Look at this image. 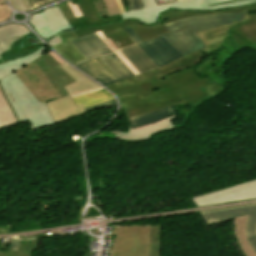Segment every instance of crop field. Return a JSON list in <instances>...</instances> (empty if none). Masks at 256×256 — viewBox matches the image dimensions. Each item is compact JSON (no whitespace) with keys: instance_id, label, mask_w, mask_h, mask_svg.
<instances>
[{"instance_id":"crop-field-13","label":"crop field","mask_w":256,"mask_h":256,"mask_svg":"<svg viewBox=\"0 0 256 256\" xmlns=\"http://www.w3.org/2000/svg\"><path fill=\"white\" fill-rule=\"evenodd\" d=\"M79 6L84 16L68 20L67 22L69 24L70 29L100 25L109 22L123 20L121 14L113 17L99 18L91 0H82L81 3H79Z\"/></svg>"},{"instance_id":"crop-field-41","label":"crop field","mask_w":256,"mask_h":256,"mask_svg":"<svg viewBox=\"0 0 256 256\" xmlns=\"http://www.w3.org/2000/svg\"><path fill=\"white\" fill-rule=\"evenodd\" d=\"M125 32L131 37V39L137 43V42H141V40L138 38V36L132 31V29L130 27L128 28H124Z\"/></svg>"},{"instance_id":"crop-field-49","label":"crop field","mask_w":256,"mask_h":256,"mask_svg":"<svg viewBox=\"0 0 256 256\" xmlns=\"http://www.w3.org/2000/svg\"><path fill=\"white\" fill-rule=\"evenodd\" d=\"M5 2H4V0H0V4H4Z\"/></svg>"},{"instance_id":"crop-field-43","label":"crop field","mask_w":256,"mask_h":256,"mask_svg":"<svg viewBox=\"0 0 256 256\" xmlns=\"http://www.w3.org/2000/svg\"><path fill=\"white\" fill-rule=\"evenodd\" d=\"M19 242V239L11 238L9 250H18Z\"/></svg>"},{"instance_id":"crop-field-16","label":"crop field","mask_w":256,"mask_h":256,"mask_svg":"<svg viewBox=\"0 0 256 256\" xmlns=\"http://www.w3.org/2000/svg\"><path fill=\"white\" fill-rule=\"evenodd\" d=\"M76 66L104 86L112 82L119 81V79L106 66H104L97 57L84 61Z\"/></svg>"},{"instance_id":"crop-field-17","label":"crop field","mask_w":256,"mask_h":256,"mask_svg":"<svg viewBox=\"0 0 256 256\" xmlns=\"http://www.w3.org/2000/svg\"><path fill=\"white\" fill-rule=\"evenodd\" d=\"M61 68L76 81L70 85L65 86L69 94L100 88L99 85L94 83L92 80H90L86 76L77 72L68 64L61 66Z\"/></svg>"},{"instance_id":"crop-field-6","label":"crop field","mask_w":256,"mask_h":256,"mask_svg":"<svg viewBox=\"0 0 256 256\" xmlns=\"http://www.w3.org/2000/svg\"><path fill=\"white\" fill-rule=\"evenodd\" d=\"M142 1L145 9L122 14L124 20L135 19L141 23L150 25L157 22L160 15L169 9L216 11L256 3V0H184L156 6L154 0Z\"/></svg>"},{"instance_id":"crop-field-4","label":"crop field","mask_w":256,"mask_h":256,"mask_svg":"<svg viewBox=\"0 0 256 256\" xmlns=\"http://www.w3.org/2000/svg\"><path fill=\"white\" fill-rule=\"evenodd\" d=\"M245 13H225L182 19L164 25L171 33L163 37L182 55L205 47L195 32L239 22Z\"/></svg>"},{"instance_id":"crop-field-10","label":"crop field","mask_w":256,"mask_h":256,"mask_svg":"<svg viewBox=\"0 0 256 256\" xmlns=\"http://www.w3.org/2000/svg\"><path fill=\"white\" fill-rule=\"evenodd\" d=\"M137 45L157 67L163 66L181 57V55L162 36Z\"/></svg>"},{"instance_id":"crop-field-45","label":"crop field","mask_w":256,"mask_h":256,"mask_svg":"<svg viewBox=\"0 0 256 256\" xmlns=\"http://www.w3.org/2000/svg\"><path fill=\"white\" fill-rule=\"evenodd\" d=\"M53 58H55L61 65L65 64L64 61H62L56 54H54L52 51L48 52Z\"/></svg>"},{"instance_id":"crop-field-11","label":"crop field","mask_w":256,"mask_h":256,"mask_svg":"<svg viewBox=\"0 0 256 256\" xmlns=\"http://www.w3.org/2000/svg\"><path fill=\"white\" fill-rule=\"evenodd\" d=\"M64 27L56 28L50 30L53 34L57 35V37L61 40L62 43L52 47L56 52L60 55L64 56L73 64L81 62L85 60L83 55L75 48V46L69 41L71 39H75L74 35L71 33L67 22L65 21L59 7H55Z\"/></svg>"},{"instance_id":"crop-field-34","label":"crop field","mask_w":256,"mask_h":256,"mask_svg":"<svg viewBox=\"0 0 256 256\" xmlns=\"http://www.w3.org/2000/svg\"><path fill=\"white\" fill-rule=\"evenodd\" d=\"M10 4L17 10L30 11L27 0H9Z\"/></svg>"},{"instance_id":"crop-field-5","label":"crop field","mask_w":256,"mask_h":256,"mask_svg":"<svg viewBox=\"0 0 256 256\" xmlns=\"http://www.w3.org/2000/svg\"><path fill=\"white\" fill-rule=\"evenodd\" d=\"M205 54L200 50L186 55L166 66L156 68L138 76H134L109 85L107 88L112 90L118 97L135 95L168 86L163 75L177 71L189 69L203 59Z\"/></svg>"},{"instance_id":"crop-field-33","label":"crop field","mask_w":256,"mask_h":256,"mask_svg":"<svg viewBox=\"0 0 256 256\" xmlns=\"http://www.w3.org/2000/svg\"><path fill=\"white\" fill-rule=\"evenodd\" d=\"M102 1L109 16H113L120 13L115 0H102Z\"/></svg>"},{"instance_id":"crop-field-14","label":"crop field","mask_w":256,"mask_h":256,"mask_svg":"<svg viewBox=\"0 0 256 256\" xmlns=\"http://www.w3.org/2000/svg\"><path fill=\"white\" fill-rule=\"evenodd\" d=\"M55 123L79 116L86 112L82 105L76 106L70 96L46 104Z\"/></svg>"},{"instance_id":"crop-field-1","label":"crop field","mask_w":256,"mask_h":256,"mask_svg":"<svg viewBox=\"0 0 256 256\" xmlns=\"http://www.w3.org/2000/svg\"><path fill=\"white\" fill-rule=\"evenodd\" d=\"M58 66L60 64L46 53L0 79L19 122L29 121L33 130L54 125L45 103L68 95L63 86L74 82Z\"/></svg>"},{"instance_id":"crop-field-27","label":"crop field","mask_w":256,"mask_h":256,"mask_svg":"<svg viewBox=\"0 0 256 256\" xmlns=\"http://www.w3.org/2000/svg\"><path fill=\"white\" fill-rule=\"evenodd\" d=\"M241 31L237 27L230 30L236 51L244 48H251L256 51V40Z\"/></svg>"},{"instance_id":"crop-field-22","label":"crop field","mask_w":256,"mask_h":256,"mask_svg":"<svg viewBox=\"0 0 256 256\" xmlns=\"http://www.w3.org/2000/svg\"><path fill=\"white\" fill-rule=\"evenodd\" d=\"M48 49H46L44 46L40 48L37 52L27 56L23 57L17 60L10 61L8 63L0 64V78L6 76L7 74L13 72L14 70L30 63L31 61L35 60L36 58L40 57L44 53H46Z\"/></svg>"},{"instance_id":"crop-field-38","label":"crop field","mask_w":256,"mask_h":256,"mask_svg":"<svg viewBox=\"0 0 256 256\" xmlns=\"http://www.w3.org/2000/svg\"><path fill=\"white\" fill-rule=\"evenodd\" d=\"M119 58L126 64V66L135 74L138 75L139 73L137 72V70L132 66V64L127 60V58L121 53L120 50H118L117 52H115Z\"/></svg>"},{"instance_id":"crop-field-23","label":"crop field","mask_w":256,"mask_h":256,"mask_svg":"<svg viewBox=\"0 0 256 256\" xmlns=\"http://www.w3.org/2000/svg\"><path fill=\"white\" fill-rule=\"evenodd\" d=\"M113 99L114 98L105 89L88 95L73 98L76 105L82 104L84 107Z\"/></svg>"},{"instance_id":"crop-field-20","label":"crop field","mask_w":256,"mask_h":256,"mask_svg":"<svg viewBox=\"0 0 256 256\" xmlns=\"http://www.w3.org/2000/svg\"><path fill=\"white\" fill-rule=\"evenodd\" d=\"M180 104H182V103H180ZM180 104L173 105V106L163 108L160 110H156L153 112H149L146 114H142L139 116L131 117V118H129L130 126H131V128L139 127V126L149 124V123L158 121L160 119L166 118L168 116L174 115V114H176L174 106H178Z\"/></svg>"},{"instance_id":"crop-field-18","label":"crop field","mask_w":256,"mask_h":256,"mask_svg":"<svg viewBox=\"0 0 256 256\" xmlns=\"http://www.w3.org/2000/svg\"><path fill=\"white\" fill-rule=\"evenodd\" d=\"M29 22L37 30H43L48 28L53 29L62 26L53 7L46 9L42 13H37L31 16Z\"/></svg>"},{"instance_id":"crop-field-36","label":"crop field","mask_w":256,"mask_h":256,"mask_svg":"<svg viewBox=\"0 0 256 256\" xmlns=\"http://www.w3.org/2000/svg\"><path fill=\"white\" fill-rule=\"evenodd\" d=\"M10 14H11V11L6 6V4L0 5V22L8 20Z\"/></svg>"},{"instance_id":"crop-field-9","label":"crop field","mask_w":256,"mask_h":256,"mask_svg":"<svg viewBox=\"0 0 256 256\" xmlns=\"http://www.w3.org/2000/svg\"><path fill=\"white\" fill-rule=\"evenodd\" d=\"M256 198V180L193 198L197 206Z\"/></svg>"},{"instance_id":"crop-field-30","label":"crop field","mask_w":256,"mask_h":256,"mask_svg":"<svg viewBox=\"0 0 256 256\" xmlns=\"http://www.w3.org/2000/svg\"><path fill=\"white\" fill-rule=\"evenodd\" d=\"M118 25H121L122 28L128 27V25L126 24L125 21H120V22H114V23H109V24L95 26V27L80 28V29L72 30V32L76 36V38H78L83 35L89 34L91 32L98 31L103 28H108V27H113V26H118Z\"/></svg>"},{"instance_id":"crop-field-7","label":"crop field","mask_w":256,"mask_h":256,"mask_svg":"<svg viewBox=\"0 0 256 256\" xmlns=\"http://www.w3.org/2000/svg\"><path fill=\"white\" fill-rule=\"evenodd\" d=\"M111 256H148L149 227H114Z\"/></svg>"},{"instance_id":"crop-field-26","label":"crop field","mask_w":256,"mask_h":256,"mask_svg":"<svg viewBox=\"0 0 256 256\" xmlns=\"http://www.w3.org/2000/svg\"><path fill=\"white\" fill-rule=\"evenodd\" d=\"M29 34V31L25 29L22 25L10 24L0 27V41L12 45L17 39L11 40L10 38Z\"/></svg>"},{"instance_id":"crop-field-44","label":"crop field","mask_w":256,"mask_h":256,"mask_svg":"<svg viewBox=\"0 0 256 256\" xmlns=\"http://www.w3.org/2000/svg\"><path fill=\"white\" fill-rule=\"evenodd\" d=\"M42 37H44L45 39H50L52 36H54L51 32H49L47 29L46 30H43V31H40L38 32ZM47 42V41H45Z\"/></svg>"},{"instance_id":"crop-field-50","label":"crop field","mask_w":256,"mask_h":256,"mask_svg":"<svg viewBox=\"0 0 256 256\" xmlns=\"http://www.w3.org/2000/svg\"><path fill=\"white\" fill-rule=\"evenodd\" d=\"M2 53L1 49H0V54Z\"/></svg>"},{"instance_id":"crop-field-47","label":"crop field","mask_w":256,"mask_h":256,"mask_svg":"<svg viewBox=\"0 0 256 256\" xmlns=\"http://www.w3.org/2000/svg\"><path fill=\"white\" fill-rule=\"evenodd\" d=\"M116 2H117V4H118V6H119L121 12H122V13L126 12V11H125V8H124V6H123L122 0H116Z\"/></svg>"},{"instance_id":"crop-field-37","label":"crop field","mask_w":256,"mask_h":256,"mask_svg":"<svg viewBox=\"0 0 256 256\" xmlns=\"http://www.w3.org/2000/svg\"><path fill=\"white\" fill-rule=\"evenodd\" d=\"M127 3L130 11L144 8L141 0H127Z\"/></svg>"},{"instance_id":"crop-field-32","label":"crop field","mask_w":256,"mask_h":256,"mask_svg":"<svg viewBox=\"0 0 256 256\" xmlns=\"http://www.w3.org/2000/svg\"><path fill=\"white\" fill-rule=\"evenodd\" d=\"M38 239L30 240L29 251H22L23 240L20 242L19 251H0V256H32L31 251H37Z\"/></svg>"},{"instance_id":"crop-field-28","label":"crop field","mask_w":256,"mask_h":256,"mask_svg":"<svg viewBox=\"0 0 256 256\" xmlns=\"http://www.w3.org/2000/svg\"><path fill=\"white\" fill-rule=\"evenodd\" d=\"M248 216V215H247ZM247 216H243L240 218H237L236 220V228H235V237L241 244L246 256H256L254 251L252 250L251 246L249 245L247 238L244 234L245 224L247 220ZM237 241V242H238Z\"/></svg>"},{"instance_id":"crop-field-3","label":"crop field","mask_w":256,"mask_h":256,"mask_svg":"<svg viewBox=\"0 0 256 256\" xmlns=\"http://www.w3.org/2000/svg\"><path fill=\"white\" fill-rule=\"evenodd\" d=\"M225 12H245L246 15L242 22L198 32V36L207 46L206 48L201 49V51L204 52L206 55H209L215 50L224 46L230 51L231 54H235L236 52L234 49V45L232 43L228 30L237 26L240 30L256 39V4L247 7L233 8L229 10L216 12L169 10L161 15L160 19L155 25L150 26L141 24L135 20H126V22L133 29V31L140 37V39L142 41H145L169 33V31L163 26L166 23H170L187 17Z\"/></svg>"},{"instance_id":"crop-field-39","label":"crop field","mask_w":256,"mask_h":256,"mask_svg":"<svg viewBox=\"0 0 256 256\" xmlns=\"http://www.w3.org/2000/svg\"><path fill=\"white\" fill-rule=\"evenodd\" d=\"M51 1H55V0H28V3L30 6V9L32 10L38 6L50 3Z\"/></svg>"},{"instance_id":"crop-field-24","label":"crop field","mask_w":256,"mask_h":256,"mask_svg":"<svg viewBox=\"0 0 256 256\" xmlns=\"http://www.w3.org/2000/svg\"><path fill=\"white\" fill-rule=\"evenodd\" d=\"M15 123L18 120L0 87V128Z\"/></svg>"},{"instance_id":"crop-field-15","label":"crop field","mask_w":256,"mask_h":256,"mask_svg":"<svg viewBox=\"0 0 256 256\" xmlns=\"http://www.w3.org/2000/svg\"><path fill=\"white\" fill-rule=\"evenodd\" d=\"M76 48L84 55L86 59L111 53L112 51L99 39L96 33L71 40Z\"/></svg>"},{"instance_id":"crop-field-42","label":"crop field","mask_w":256,"mask_h":256,"mask_svg":"<svg viewBox=\"0 0 256 256\" xmlns=\"http://www.w3.org/2000/svg\"><path fill=\"white\" fill-rule=\"evenodd\" d=\"M68 5L71 8L72 12L74 13L75 17L82 15L77 4L73 5L72 2H69Z\"/></svg>"},{"instance_id":"crop-field-48","label":"crop field","mask_w":256,"mask_h":256,"mask_svg":"<svg viewBox=\"0 0 256 256\" xmlns=\"http://www.w3.org/2000/svg\"><path fill=\"white\" fill-rule=\"evenodd\" d=\"M0 47H1V49H2L3 52L6 51V50H8V49H10V46H8L7 44H5L4 42H1V43H0Z\"/></svg>"},{"instance_id":"crop-field-25","label":"crop field","mask_w":256,"mask_h":256,"mask_svg":"<svg viewBox=\"0 0 256 256\" xmlns=\"http://www.w3.org/2000/svg\"><path fill=\"white\" fill-rule=\"evenodd\" d=\"M107 38H110L119 49L134 44L121 26L101 30Z\"/></svg>"},{"instance_id":"crop-field-29","label":"crop field","mask_w":256,"mask_h":256,"mask_svg":"<svg viewBox=\"0 0 256 256\" xmlns=\"http://www.w3.org/2000/svg\"><path fill=\"white\" fill-rule=\"evenodd\" d=\"M21 44L4 52V56L7 61L11 60L12 58L22 57L27 54L33 53L35 50H37L38 44H34L28 47L26 41L22 42V47L20 48Z\"/></svg>"},{"instance_id":"crop-field-12","label":"crop field","mask_w":256,"mask_h":256,"mask_svg":"<svg viewBox=\"0 0 256 256\" xmlns=\"http://www.w3.org/2000/svg\"><path fill=\"white\" fill-rule=\"evenodd\" d=\"M176 118H177V115H174L146 126L130 129L128 133L118 132L116 134H113V138L129 140V141H139V140L149 139L151 137L150 135L152 134L169 130V129H175L176 127L171 123V121H173Z\"/></svg>"},{"instance_id":"crop-field-31","label":"crop field","mask_w":256,"mask_h":256,"mask_svg":"<svg viewBox=\"0 0 256 256\" xmlns=\"http://www.w3.org/2000/svg\"><path fill=\"white\" fill-rule=\"evenodd\" d=\"M160 227H150V254L149 256H159Z\"/></svg>"},{"instance_id":"crop-field-46","label":"crop field","mask_w":256,"mask_h":256,"mask_svg":"<svg viewBox=\"0 0 256 256\" xmlns=\"http://www.w3.org/2000/svg\"><path fill=\"white\" fill-rule=\"evenodd\" d=\"M100 89H103V88H100ZM100 89L91 90V91H86V92L77 93V94H72V95H70V96H71V98H73V97H75V96H79V95L88 94V93H91V92H94V91H97V90H100Z\"/></svg>"},{"instance_id":"crop-field-35","label":"crop field","mask_w":256,"mask_h":256,"mask_svg":"<svg viewBox=\"0 0 256 256\" xmlns=\"http://www.w3.org/2000/svg\"><path fill=\"white\" fill-rule=\"evenodd\" d=\"M98 36L100 37V39L114 52L116 50H118L117 46L110 40L107 39L104 34L99 31L97 32Z\"/></svg>"},{"instance_id":"crop-field-40","label":"crop field","mask_w":256,"mask_h":256,"mask_svg":"<svg viewBox=\"0 0 256 256\" xmlns=\"http://www.w3.org/2000/svg\"><path fill=\"white\" fill-rule=\"evenodd\" d=\"M111 105H116L115 100L109 101V102H105V103H101V104L94 105V106H90V107H86L85 109L87 111H89V110H93V109H97V108H102V107H106V106H111Z\"/></svg>"},{"instance_id":"crop-field-21","label":"crop field","mask_w":256,"mask_h":256,"mask_svg":"<svg viewBox=\"0 0 256 256\" xmlns=\"http://www.w3.org/2000/svg\"><path fill=\"white\" fill-rule=\"evenodd\" d=\"M120 80L134 76V74L124 65V63L114 53L98 57ZM118 58V60H115Z\"/></svg>"},{"instance_id":"crop-field-19","label":"crop field","mask_w":256,"mask_h":256,"mask_svg":"<svg viewBox=\"0 0 256 256\" xmlns=\"http://www.w3.org/2000/svg\"><path fill=\"white\" fill-rule=\"evenodd\" d=\"M121 51L134 65V67L139 71L140 74L145 71L156 68V66L151 62V60L136 45L122 49Z\"/></svg>"},{"instance_id":"crop-field-2","label":"crop field","mask_w":256,"mask_h":256,"mask_svg":"<svg viewBox=\"0 0 256 256\" xmlns=\"http://www.w3.org/2000/svg\"><path fill=\"white\" fill-rule=\"evenodd\" d=\"M168 87L140 95L119 98L128 118L177 103L193 107L225 91L220 85H208V78L200 79L191 69L164 76Z\"/></svg>"},{"instance_id":"crop-field-8","label":"crop field","mask_w":256,"mask_h":256,"mask_svg":"<svg viewBox=\"0 0 256 256\" xmlns=\"http://www.w3.org/2000/svg\"><path fill=\"white\" fill-rule=\"evenodd\" d=\"M209 225L249 214L245 233L256 253V205L235 206L202 212Z\"/></svg>"}]
</instances>
